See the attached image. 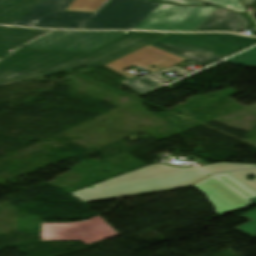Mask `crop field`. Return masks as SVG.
I'll list each match as a JSON object with an SVG mask.
<instances>
[{
    "mask_svg": "<svg viewBox=\"0 0 256 256\" xmlns=\"http://www.w3.org/2000/svg\"><path fill=\"white\" fill-rule=\"evenodd\" d=\"M240 217L247 219L251 222H249L237 229L256 237V210H253V211H251L247 214H244Z\"/></svg>",
    "mask_w": 256,
    "mask_h": 256,
    "instance_id": "17",
    "label": "crop field"
},
{
    "mask_svg": "<svg viewBox=\"0 0 256 256\" xmlns=\"http://www.w3.org/2000/svg\"><path fill=\"white\" fill-rule=\"evenodd\" d=\"M106 0H74L66 10L95 12Z\"/></svg>",
    "mask_w": 256,
    "mask_h": 256,
    "instance_id": "14",
    "label": "crop field"
},
{
    "mask_svg": "<svg viewBox=\"0 0 256 256\" xmlns=\"http://www.w3.org/2000/svg\"><path fill=\"white\" fill-rule=\"evenodd\" d=\"M119 235L98 216L80 223H42L41 241L82 240L88 245Z\"/></svg>",
    "mask_w": 256,
    "mask_h": 256,
    "instance_id": "7",
    "label": "crop field"
},
{
    "mask_svg": "<svg viewBox=\"0 0 256 256\" xmlns=\"http://www.w3.org/2000/svg\"><path fill=\"white\" fill-rule=\"evenodd\" d=\"M50 32L0 26V84L79 66H103L167 35L128 32L91 52L22 48Z\"/></svg>",
    "mask_w": 256,
    "mask_h": 256,
    "instance_id": "1",
    "label": "crop field"
},
{
    "mask_svg": "<svg viewBox=\"0 0 256 256\" xmlns=\"http://www.w3.org/2000/svg\"><path fill=\"white\" fill-rule=\"evenodd\" d=\"M249 26L248 20L240 14L217 8L196 31L239 32Z\"/></svg>",
    "mask_w": 256,
    "mask_h": 256,
    "instance_id": "10",
    "label": "crop field"
},
{
    "mask_svg": "<svg viewBox=\"0 0 256 256\" xmlns=\"http://www.w3.org/2000/svg\"><path fill=\"white\" fill-rule=\"evenodd\" d=\"M43 1L45 0H0V24L10 23Z\"/></svg>",
    "mask_w": 256,
    "mask_h": 256,
    "instance_id": "11",
    "label": "crop field"
},
{
    "mask_svg": "<svg viewBox=\"0 0 256 256\" xmlns=\"http://www.w3.org/2000/svg\"><path fill=\"white\" fill-rule=\"evenodd\" d=\"M124 33L126 32L54 31L25 47L90 51Z\"/></svg>",
    "mask_w": 256,
    "mask_h": 256,
    "instance_id": "8",
    "label": "crop field"
},
{
    "mask_svg": "<svg viewBox=\"0 0 256 256\" xmlns=\"http://www.w3.org/2000/svg\"><path fill=\"white\" fill-rule=\"evenodd\" d=\"M184 60L185 59L183 58L147 45L105 66L131 79L135 78V76L125 72L124 70L133 65L143 70L147 69L149 71L155 72L169 67H173ZM152 64L156 65L157 67L154 69L149 67Z\"/></svg>",
    "mask_w": 256,
    "mask_h": 256,
    "instance_id": "9",
    "label": "crop field"
},
{
    "mask_svg": "<svg viewBox=\"0 0 256 256\" xmlns=\"http://www.w3.org/2000/svg\"><path fill=\"white\" fill-rule=\"evenodd\" d=\"M73 0H46L12 25L57 29H134L161 2L107 0L95 13L64 11Z\"/></svg>",
    "mask_w": 256,
    "mask_h": 256,
    "instance_id": "2",
    "label": "crop field"
},
{
    "mask_svg": "<svg viewBox=\"0 0 256 256\" xmlns=\"http://www.w3.org/2000/svg\"><path fill=\"white\" fill-rule=\"evenodd\" d=\"M243 2V4L246 6V5H250L254 2H256L255 0H241Z\"/></svg>",
    "mask_w": 256,
    "mask_h": 256,
    "instance_id": "21",
    "label": "crop field"
},
{
    "mask_svg": "<svg viewBox=\"0 0 256 256\" xmlns=\"http://www.w3.org/2000/svg\"><path fill=\"white\" fill-rule=\"evenodd\" d=\"M122 83H124V84L144 93V94H147L155 89H158V88L164 86L163 84H161L147 76L128 80V81H125Z\"/></svg>",
    "mask_w": 256,
    "mask_h": 256,
    "instance_id": "12",
    "label": "crop field"
},
{
    "mask_svg": "<svg viewBox=\"0 0 256 256\" xmlns=\"http://www.w3.org/2000/svg\"><path fill=\"white\" fill-rule=\"evenodd\" d=\"M251 201H253L254 203H256V198H254V199H251Z\"/></svg>",
    "mask_w": 256,
    "mask_h": 256,
    "instance_id": "22",
    "label": "crop field"
},
{
    "mask_svg": "<svg viewBox=\"0 0 256 256\" xmlns=\"http://www.w3.org/2000/svg\"><path fill=\"white\" fill-rule=\"evenodd\" d=\"M231 175L235 176L239 180L243 181L247 185H249L251 188H253L256 191V179L252 181H248L246 179L247 175H255L256 176V169L255 170H249V171H243V172H236V173H230Z\"/></svg>",
    "mask_w": 256,
    "mask_h": 256,
    "instance_id": "19",
    "label": "crop field"
},
{
    "mask_svg": "<svg viewBox=\"0 0 256 256\" xmlns=\"http://www.w3.org/2000/svg\"><path fill=\"white\" fill-rule=\"evenodd\" d=\"M250 167H256V166L233 164V163H216V164H211V165L202 167V169L210 173H217V172H223V171H229V170H235V169H241V168H250Z\"/></svg>",
    "mask_w": 256,
    "mask_h": 256,
    "instance_id": "15",
    "label": "crop field"
},
{
    "mask_svg": "<svg viewBox=\"0 0 256 256\" xmlns=\"http://www.w3.org/2000/svg\"><path fill=\"white\" fill-rule=\"evenodd\" d=\"M157 1H163V2L181 4V5H207L195 0H157Z\"/></svg>",
    "mask_w": 256,
    "mask_h": 256,
    "instance_id": "20",
    "label": "crop field"
},
{
    "mask_svg": "<svg viewBox=\"0 0 256 256\" xmlns=\"http://www.w3.org/2000/svg\"><path fill=\"white\" fill-rule=\"evenodd\" d=\"M254 44L255 38L211 33L171 34L151 45L207 67Z\"/></svg>",
    "mask_w": 256,
    "mask_h": 256,
    "instance_id": "4",
    "label": "crop field"
},
{
    "mask_svg": "<svg viewBox=\"0 0 256 256\" xmlns=\"http://www.w3.org/2000/svg\"><path fill=\"white\" fill-rule=\"evenodd\" d=\"M216 7H180L161 3L137 30L194 32Z\"/></svg>",
    "mask_w": 256,
    "mask_h": 256,
    "instance_id": "5",
    "label": "crop field"
},
{
    "mask_svg": "<svg viewBox=\"0 0 256 256\" xmlns=\"http://www.w3.org/2000/svg\"><path fill=\"white\" fill-rule=\"evenodd\" d=\"M209 174L194 168L180 169L157 164L143 167L122 176L71 193L83 202H92L192 184Z\"/></svg>",
    "mask_w": 256,
    "mask_h": 256,
    "instance_id": "3",
    "label": "crop field"
},
{
    "mask_svg": "<svg viewBox=\"0 0 256 256\" xmlns=\"http://www.w3.org/2000/svg\"><path fill=\"white\" fill-rule=\"evenodd\" d=\"M171 71H174V72H176V73H178L182 76H185V75L191 73V72H189L185 69H182V68L176 66V67H173V68H169V69H166V70H163V71H160V72H156V73H152V74H148V75L166 84V83H169V82L164 80L166 78L163 77L162 75L165 74V73L171 72Z\"/></svg>",
    "mask_w": 256,
    "mask_h": 256,
    "instance_id": "18",
    "label": "crop field"
},
{
    "mask_svg": "<svg viewBox=\"0 0 256 256\" xmlns=\"http://www.w3.org/2000/svg\"><path fill=\"white\" fill-rule=\"evenodd\" d=\"M222 63L241 66H256V47L248 51H245L231 59L223 61Z\"/></svg>",
    "mask_w": 256,
    "mask_h": 256,
    "instance_id": "13",
    "label": "crop field"
},
{
    "mask_svg": "<svg viewBox=\"0 0 256 256\" xmlns=\"http://www.w3.org/2000/svg\"><path fill=\"white\" fill-rule=\"evenodd\" d=\"M219 7L238 11L240 13L246 11V9L239 3L238 0H200Z\"/></svg>",
    "mask_w": 256,
    "mask_h": 256,
    "instance_id": "16",
    "label": "crop field"
},
{
    "mask_svg": "<svg viewBox=\"0 0 256 256\" xmlns=\"http://www.w3.org/2000/svg\"><path fill=\"white\" fill-rule=\"evenodd\" d=\"M216 206L218 214L253 205L248 199L256 196V192L229 173L208 178L196 185Z\"/></svg>",
    "mask_w": 256,
    "mask_h": 256,
    "instance_id": "6",
    "label": "crop field"
}]
</instances>
